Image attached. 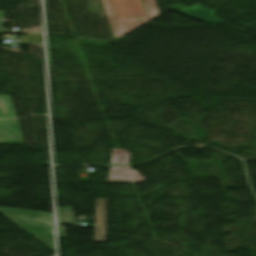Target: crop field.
Returning a JSON list of instances; mask_svg holds the SVG:
<instances>
[{
	"label": "crop field",
	"instance_id": "8a807250",
	"mask_svg": "<svg viewBox=\"0 0 256 256\" xmlns=\"http://www.w3.org/2000/svg\"><path fill=\"white\" fill-rule=\"evenodd\" d=\"M114 40L159 15L155 0H102Z\"/></svg>",
	"mask_w": 256,
	"mask_h": 256
},
{
	"label": "crop field",
	"instance_id": "ac0d7876",
	"mask_svg": "<svg viewBox=\"0 0 256 256\" xmlns=\"http://www.w3.org/2000/svg\"><path fill=\"white\" fill-rule=\"evenodd\" d=\"M0 213L54 251L52 214L5 207Z\"/></svg>",
	"mask_w": 256,
	"mask_h": 256
},
{
	"label": "crop field",
	"instance_id": "34b2d1b8",
	"mask_svg": "<svg viewBox=\"0 0 256 256\" xmlns=\"http://www.w3.org/2000/svg\"><path fill=\"white\" fill-rule=\"evenodd\" d=\"M169 9L183 13L185 15L191 16L193 18L202 20L207 23L223 22V21L213 17L216 12L215 10L209 9L207 7H204V6H201L198 4H196L190 8H187L182 5L177 4Z\"/></svg>",
	"mask_w": 256,
	"mask_h": 256
},
{
	"label": "crop field",
	"instance_id": "412701ff",
	"mask_svg": "<svg viewBox=\"0 0 256 256\" xmlns=\"http://www.w3.org/2000/svg\"><path fill=\"white\" fill-rule=\"evenodd\" d=\"M0 143L23 144L17 119L0 121Z\"/></svg>",
	"mask_w": 256,
	"mask_h": 256
},
{
	"label": "crop field",
	"instance_id": "f4fd0767",
	"mask_svg": "<svg viewBox=\"0 0 256 256\" xmlns=\"http://www.w3.org/2000/svg\"><path fill=\"white\" fill-rule=\"evenodd\" d=\"M126 175V176H123ZM144 181L143 176H139L135 170L127 167H111L107 183L140 182Z\"/></svg>",
	"mask_w": 256,
	"mask_h": 256
},
{
	"label": "crop field",
	"instance_id": "dd49c442",
	"mask_svg": "<svg viewBox=\"0 0 256 256\" xmlns=\"http://www.w3.org/2000/svg\"><path fill=\"white\" fill-rule=\"evenodd\" d=\"M106 199H96L94 242H105Z\"/></svg>",
	"mask_w": 256,
	"mask_h": 256
},
{
	"label": "crop field",
	"instance_id": "e52e79f7",
	"mask_svg": "<svg viewBox=\"0 0 256 256\" xmlns=\"http://www.w3.org/2000/svg\"><path fill=\"white\" fill-rule=\"evenodd\" d=\"M16 117L10 96H0V119Z\"/></svg>",
	"mask_w": 256,
	"mask_h": 256
},
{
	"label": "crop field",
	"instance_id": "d8731c3e",
	"mask_svg": "<svg viewBox=\"0 0 256 256\" xmlns=\"http://www.w3.org/2000/svg\"><path fill=\"white\" fill-rule=\"evenodd\" d=\"M59 223H74L73 207H57Z\"/></svg>",
	"mask_w": 256,
	"mask_h": 256
},
{
	"label": "crop field",
	"instance_id": "5a996713",
	"mask_svg": "<svg viewBox=\"0 0 256 256\" xmlns=\"http://www.w3.org/2000/svg\"><path fill=\"white\" fill-rule=\"evenodd\" d=\"M124 157V159H121ZM129 152L124 149H113L111 163L113 164H128Z\"/></svg>",
	"mask_w": 256,
	"mask_h": 256
},
{
	"label": "crop field",
	"instance_id": "3316defc",
	"mask_svg": "<svg viewBox=\"0 0 256 256\" xmlns=\"http://www.w3.org/2000/svg\"><path fill=\"white\" fill-rule=\"evenodd\" d=\"M58 238H66L64 226H58Z\"/></svg>",
	"mask_w": 256,
	"mask_h": 256
},
{
	"label": "crop field",
	"instance_id": "28ad6ade",
	"mask_svg": "<svg viewBox=\"0 0 256 256\" xmlns=\"http://www.w3.org/2000/svg\"><path fill=\"white\" fill-rule=\"evenodd\" d=\"M2 14L3 12H0V25H1Z\"/></svg>",
	"mask_w": 256,
	"mask_h": 256
}]
</instances>
